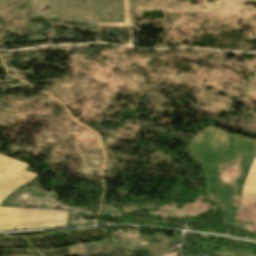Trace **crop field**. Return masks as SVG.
Instances as JSON below:
<instances>
[{
	"mask_svg": "<svg viewBox=\"0 0 256 256\" xmlns=\"http://www.w3.org/2000/svg\"><path fill=\"white\" fill-rule=\"evenodd\" d=\"M27 164L0 154V203L18 187L36 177L24 171ZM68 212L0 208V231L65 226Z\"/></svg>",
	"mask_w": 256,
	"mask_h": 256,
	"instance_id": "8a807250",
	"label": "crop field"
},
{
	"mask_svg": "<svg viewBox=\"0 0 256 256\" xmlns=\"http://www.w3.org/2000/svg\"><path fill=\"white\" fill-rule=\"evenodd\" d=\"M237 192L242 196L236 219L254 222L256 232V156Z\"/></svg>",
	"mask_w": 256,
	"mask_h": 256,
	"instance_id": "ac0d7876",
	"label": "crop field"
},
{
	"mask_svg": "<svg viewBox=\"0 0 256 256\" xmlns=\"http://www.w3.org/2000/svg\"><path fill=\"white\" fill-rule=\"evenodd\" d=\"M163 256H176V252H174V253H169V254H165V255H163Z\"/></svg>",
	"mask_w": 256,
	"mask_h": 256,
	"instance_id": "34b2d1b8",
	"label": "crop field"
}]
</instances>
